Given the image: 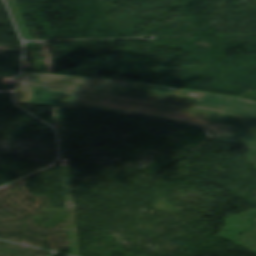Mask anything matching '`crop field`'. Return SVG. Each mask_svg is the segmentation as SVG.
<instances>
[{
    "mask_svg": "<svg viewBox=\"0 0 256 256\" xmlns=\"http://www.w3.org/2000/svg\"><path fill=\"white\" fill-rule=\"evenodd\" d=\"M157 119L205 126L216 139L256 148V102L178 88Z\"/></svg>",
    "mask_w": 256,
    "mask_h": 256,
    "instance_id": "ac0d7876",
    "label": "crop field"
},
{
    "mask_svg": "<svg viewBox=\"0 0 256 256\" xmlns=\"http://www.w3.org/2000/svg\"><path fill=\"white\" fill-rule=\"evenodd\" d=\"M175 87L24 72L16 100L52 106L72 104L155 118Z\"/></svg>",
    "mask_w": 256,
    "mask_h": 256,
    "instance_id": "8a807250",
    "label": "crop field"
}]
</instances>
